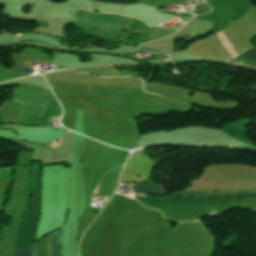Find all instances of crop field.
Returning <instances> with one entry per match:
<instances>
[{"label": "crop field", "instance_id": "crop-field-5", "mask_svg": "<svg viewBox=\"0 0 256 256\" xmlns=\"http://www.w3.org/2000/svg\"><path fill=\"white\" fill-rule=\"evenodd\" d=\"M14 100L19 101V102L33 104V105H38V106H42V107H45L47 104V102H45V101H39V100L28 99V98L17 97V96L14 97Z\"/></svg>", "mask_w": 256, "mask_h": 256}, {"label": "crop field", "instance_id": "crop-field-1", "mask_svg": "<svg viewBox=\"0 0 256 256\" xmlns=\"http://www.w3.org/2000/svg\"><path fill=\"white\" fill-rule=\"evenodd\" d=\"M145 195L139 194V197H144ZM256 195H231V196H213L206 198H225V197H249ZM148 198H156L145 196ZM148 198H139V202L146 203H163V204H194V203H225V202H251L256 201V198H227V199H207V200H178V201H169L177 199H206V198H157V199H169V200H157V199H148Z\"/></svg>", "mask_w": 256, "mask_h": 256}, {"label": "crop field", "instance_id": "crop-field-6", "mask_svg": "<svg viewBox=\"0 0 256 256\" xmlns=\"http://www.w3.org/2000/svg\"><path fill=\"white\" fill-rule=\"evenodd\" d=\"M21 249H16L15 256H19ZM33 248L22 249L20 256H31Z\"/></svg>", "mask_w": 256, "mask_h": 256}, {"label": "crop field", "instance_id": "crop-field-4", "mask_svg": "<svg viewBox=\"0 0 256 256\" xmlns=\"http://www.w3.org/2000/svg\"><path fill=\"white\" fill-rule=\"evenodd\" d=\"M136 192H142L153 195H164L165 191L157 185H148V184H134Z\"/></svg>", "mask_w": 256, "mask_h": 256}, {"label": "crop field", "instance_id": "crop-field-2", "mask_svg": "<svg viewBox=\"0 0 256 256\" xmlns=\"http://www.w3.org/2000/svg\"><path fill=\"white\" fill-rule=\"evenodd\" d=\"M44 246H46V243H45V239L43 238L37 244H35L33 256H41L42 249ZM51 256H62L61 255V244H60V230L52 233Z\"/></svg>", "mask_w": 256, "mask_h": 256}, {"label": "crop field", "instance_id": "crop-field-7", "mask_svg": "<svg viewBox=\"0 0 256 256\" xmlns=\"http://www.w3.org/2000/svg\"><path fill=\"white\" fill-rule=\"evenodd\" d=\"M98 189V188H97ZM97 189H96V191H95V194L97 193Z\"/></svg>", "mask_w": 256, "mask_h": 256}, {"label": "crop field", "instance_id": "crop-field-3", "mask_svg": "<svg viewBox=\"0 0 256 256\" xmlns=\"http://www.w3.org/2000/svg\"><path fill=\"white\" fill-rule=\"evenodd\" d=\"M227 63L236 64L252 70H256V49H249L239 55L237 58L228 61Z\"/></svg>", "mask_w": 256, "mask_h": 256}]
</instances>
